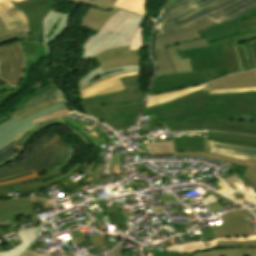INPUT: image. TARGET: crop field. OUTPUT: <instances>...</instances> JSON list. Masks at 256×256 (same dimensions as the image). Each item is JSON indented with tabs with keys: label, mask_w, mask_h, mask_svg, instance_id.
I'll use <instances>...</instances> for the list:
<instances>
[{
	"label": "crop field",
	"mask_w": 256,
	"mask_h": 256,
	"mask_svg": "<svg viewBox=\"0 0 256 256\" xmlns=\"http://www.w3.org/2000/svg\"><path fill=\"white\" fill-rule=\"evenodd\" d=\"M204 123V125H202ZM170 132L195 130H220L256 135V122L253 121H217L215 115H207L167 125Z\"/></svg>",
	"instance_id": "crop-field-9"
},
{
	"label": "crop field",
	"mask_w": 256,
	"mask_h": 256,
	"mask_svg": "<svg viewBox=\"0 0 256 256\" xmlns=\"http://www.w3.org/2000/svg\"><path fill=\"white\" fill-rule=\"evenodd\" d=\"M215 113L217 120L256 121V92L205 95L198 91L162 105L146 108L165 124Z\"/></svg>",
	"instance_id": "crop-field-1"
},
{
	"label": "crop field",
	"mask_w": 256,
	"mask_h": 256,
	"mask_svg": "<svg viewBox=\"0 0 256 256\" xmlns=\"http://www.w3.org/2000/svg\"><path fill=\"white\" fill-rule=\"evenodd\" d=\"M51 88H53V87H52L51 85H49V86H47V87H45V88H43V89L37 91L36 93H34V94H32V95H30V96L24 98V99L21 100L18 104H16L14 107H12L5 115H3V118L6 117L9 113H11L13 110H15V109H16L18 106H20L22 103H24V102L30 100L31 98H33V97H35V96H37V95H39V94H41V93H43V92H45V91L51 89Z\"/></svg>",
	"instance_id": "crop-field-45"
},
{
	"label": "crop field",
	"mask_w": 256,
	"mask_h": 256,
	"mask_svg": "<svg viewBox=\"0 0 256 256\" xmlns=\"http://www.w3.org/2000/svg\"><path fill=\"white\" fill-rule=\"evenodd\" d=\"M239 23L243 25L235 28L239 35L209 44L214 45L221 43L225 54L228 74L239 72L237 58L232 46L242 42H245L246 45L256 43V17L241 21Z\"/></svg>",
	"instance_id": "crop-field-10"
},
{
	"label": "crop field",
	"mask_w": 256,
	"mask_h": 256,
	"mask_svg": "<svg viewBox=\"0 0 256 256\" xmlns=\"http://www.w3.org/2000/svg\"><path fill=\"white\" fill-rule=\"evenodd\" d=\"M104 69L113 68L117 66L123 65H136L140 64L139 56L133 57H122V58H114L110 60H106L104 62L99 63Z\"/></svg>",
	"instance_id": "crop-field-35"
},
{
	"label": "crop field",
	"mask_w": 256,
	"mask_h": 256,
	"mask_svg": "<svg viewBox=\"0 0 256 256\" xmlns=\"http://www.w3.org/2000/svg\"><path fill=\"white\" fill-rule=\"evenodd\" d=\"M33 209L34 205L28 198L0 200V226L8 224L9 230L19 227L15 216L33 213Z\"/></svg>",
	"instance_id": "crop-field-15"
},
{
	"label": "crop field",
	"mask_w": 256,
	"mask_h": 256,
	"mask_svg": "<svg viewBox=\"0 0 256 256\" xmlns=\"http://www.w3.org/2000/svg\"><path fill=\"white\" fill-rule=\"evenodd\" d=\"M68 144L57 134L46 139L34 155L22 163L0 169V179L18 175L30 170L36 174L47 171L59 164L65 156Z\"/></svg>",
	"instance_id": "crop-field-8"
},
{
	"label": "crop field",
	"mask_w": 256,
	"mask_h": 256,
	"mask_svg": "<svg viewBox=\"0 0 256 256\" xmlns=\"http://www.w3.org/2000/svg\"><path fill=\"white\" fill-rule=\"evenodd\" d=\"M33 177H37V175L34 173V174H32V175L25 176V177H21V178H19V179H17V180H14V181L5 182V183H0V184L12 183V182H16V181H21V180L33 178Z\"/></svg>",
	"instance_id": "crop-field-55"
},
{
	"label": "crop field",
	"mask_w": 256,
	"mask_h": 256,
	"mask_svg": "<svg viewBox=\"0 0 256 256\" xmlns=\"http://www.w3.org/2000/svg\"><path fill=\"white\" fill-rule=\"evenodd\" d=\"M175 155H200V156H209L224 162L232 163V164H237V165H242L245 167H253L256 168V160H239V159H234L230 157H225V156H220L216 154H210V153H199V152H174Z\"/></svg>",
	"instance_id": "crop-field-31"
},
{
	"label": "crop field",
	"mask_w": 256,
	"mask_h": 256,
	"mask_svg": "<svg viewBox=\"0 0 256 256\" xmlns=\"http://www.w3.org/2000/svg\"><path fill=\"white\" fill-rule=\"evenodd\" d=\"M31 173H33V171L28 172V173H25V174H22V175H19V176H16V177H13V178H10V179L0 180V182H4V181H9V180L17 179V178H19V177H21V176L28 175V174H31Z\"/></svg>",
	"instance_id": "crop-field-57"
},
{
	"label": "crop field",
	"mask_w": 256,
	"mask_h": 256,
	"mask_svg": "<svg viewBox=\"0 0 256 256\" xmlns=\"http://www.w3.org/2000/svg\"><path fill=\"white\" fill-rule=\"evenodd\" d=\"M200 9L197 7L193 2L190 0L179 4L178 6L174 7L170 11H168L164 17L160 20L158 26L173 22L175 20L181 19L195 11Z\"/></svg>",
	"instance_id": "crop-field-25"
},
{
	"label": "crop field",
	"mask_w": 256,
	"mask_h": 256,
	"mask_svg": "<svg viewBox=\"0 0 256 256\" xmlns=\"http://www.w3.org/2000/svg\"><path fill=\"white\" fill-rule=\"evenodd\" d=\"M193 1L197 6H199L200 8L209 5L217 0H191Z\"/></svg>",
	"instance_id": "crop-field-51"
},
{
	"label": "crop field",
	"mask_w": 256,
	"mask_h": 256,
	"mask_svg": "<svg viewBox=\"0 0 256 256\" xmlns=\"http://www.w3.org/2000/svg\"><path fill=\"white\" fill-rule=\"evenodd\" d=\"M19 39L30 41V35H29V33H26V34H21V35H15V36L2 38V39H0V44L10 42V41H14V40H19Z\"/></svg>",
	"instance_id": "crop-field-47"
},
{
	"label": "crop field",
	"mask_w": 256,
	"mask_h": 256,
	"mask_svg": "<svg viewBox=\"0 0 256 256\" xmlns=\"http://www.w3.org/2000/svg\"><path fill=\"white\" fill-rule=\"evenodd\" d=\"M66 256H74V255L71 253V254H67Z\"/></svg>",
	"instance_id": "crop-field-64"
},
{
	"label": "crop field",
	"mask_w": 256,
	"mask_h": 256,
	"mask_svg": "<svg viewBox=\"0 0 256 256\" xmlns=\"http://www.w3.org/2000/svg\"><path fill=\"white\" fill-rule=\"evenodd\" d=\"M143 18L120 9L109 18L96 36L91 35L82 47L83 53L79 59H91L96 54L114 47L130 46L136 30Z\"/></svg>",
	"instance_id": "crop-field-5"
},
{
	"label": "crop field",
	"mask_w": 256,
	"mask_h": 256,
	"mask_svg": "<svg viewBox=\"0 0 256 256\" xmlns=\"http://www.w3.org/2000/svg\"><path fill=\"white\" fill-rule=\"evenodd\" d=\"M78 4H73L71 10L65 13H58L52 11V13L46 18L45 26H46V34L45 41L46 45L50 43L53 39H55L59 34H61L64 30L67 29V22L71 12Z\"/></svg>",
	"instance_id": "crop-field-22"
},
{
	"label": "crop field",
	"mask_w": 256,
	"mask_h": 256,
	"mask_svg": "<svg viewBox=\"0 0 256 256\" xmlns=\"http://www.w3.org/2000/svg\"><path fill=\"white\" fill-rule=\"evenodd\" d=\"M62 1H67V2H69V0H62Z\"/></svg>",
	"instance_id": "crop-field-66"
},
{
	"label": "crop field",
	"mask_w": 256,
	"mask_h": 256,
	"mask_svg": "<svg viewBox=\"0 0 256 256\" xmlns=\"http://www.w3.org/2000/svg\"><path fill=\"white\" fill-rule=\"evenodd\" d=\"M207 152L230 156L239 159H256V148L207 141Z\"/></svg>",
	"instance_id": "crop-field-20"
},
{
	"label": "crop field",
	"mask_w": 256,
	"mask_h": 256,
	"mask_svg": "<svg viewBox=\"0 0 256 256\" xmlns=\"http://www.w3.org/2000/svg\"><path fill=\"white\" fill-rule=\"evenodd\" d=\"M29 32V24L22 13L8 0H0V38Z\"/></svg>",
	"instance_id": "crop-field-12"
},
{
	"label": "crop field",
	"mask_w": 256,
	"mask_h": 256,
	"mask_svg": "<svg viewBox=\"0 0 256 256\" xmlns=\"http://www.w3.org/2000/svg\"><path fill=\"white\" fill-rule=\"evenodd\" d=\"M39 230L40 226L16 231L22 243L8 251L0 252V256H20L38 238L36 234Z\"/></svg>",
	"instance_id": "crop-field-24"
},
{
	"label": "crop field",
	"mask_w": 256,
	"mask_h": 256,
	"mask_svg": "<svg viewBox=\"0 0 256 256\" xmlns=\"http://www.w3.org/2000/svg\"><path fill=\"white\" fill-rule=\"evenodd\" d=\"M200 200H201L202 203L204 204L203 206H205V205H207V204H209V203H212V202L217 201V200L215 199V197H214L212 194H210V195H208V196H206V197H204V198H202V199H200Z\"/></svg>",
	"instance_id": "crop-field-53"
},
{
	"label": "crop field",
	"mask_w": 256,
	"mask_h": 256,
	"mask_svg": "<svg viewBox=\"0 0 256 256\" xmlns=\"http://www.w3.org/2000/svg\"><path fill=\"white\" fill-rule=\"evenodd\" d=\"M142 31L143 29L139 28L131 42L130 49H141L143 45V38H142Z\"/></svg>",
	"instance_id": "crop-field-44"
},
{
	"label": "crop field",
	"mask_w": 256,
	"mask_h": 256,
	"mask_svg": "<svg viewBox=\"0 0 256 256\" xmlns=\"http://www.w3.org/2000/svg\"><path fill=\"white\" fill-rule=\"evenodd\" d=\"M245 87H256V70L242 72L224 77L211 83L206 90L235 89Z\"/></svg>",
	"instance_id": "crop-field-18"
},
{
	"label": "crop field",
	"mask_w": 256,
	"mask_h": 256,
	"mask_svg": "<svg viewBox=\"0 0 256 256\" xmlns=\"http://www.w3.org/2000/svg\"><path fill=\"white\" fill-rule=\"evenodd\" d=\"M207 135L256 141V137L255 136L240 135V134L207 132Z\"/></svg>",
	"instance_id": "crop-field-40"
},
{
	"label": "crop field",
	"mask_w": 256,
	"mask_h": 256,
	"mask_svg": "<svg viewBox=\"0 0 256 256\" xmlns=\"http://www.w3.org/2000/svg\"><path fill=\"white\" fill-rule=\"evenodd\" d=\"M174 151L205 152V138H174Z\"/></svg>",
	"instance_id": "crop-field-28"
},
{
	"label": "crop field",
	"mask_w": 256,
	"mask_h": 256,
	"mask_svg": "<svg viewBox=\"0 0 256 256\" xmlns=\"http://www.w3.org/2000/svg\"><path fill=\"white\" fill-rule=\"evenodd\" d=\"M145 2L146 0H117L114 6L145 15Z\"/></svg>",
	"instance_id": "crop-field-34"
},
{
	"label": "crop field",
	"mask_w": 256,
	"mask_h": 256,
	"mask_svg": "<svg viewBox=\"0 0 256 256\" xmlns=\"http://www.w3.org/2000/svg\"><path fill=\"white\" fill-rule=\"evenodd\" d=\"M178 1H180V0H170V1L168 2V4L166 5V7L169 6V5H171V4L176 3V2H178ZM166 7H165V8H166Z\"/></svg>",
	"instance_id": "crop-field-60"
},
{
	"label": "crop field",
	"mask_w": 256,
	"mask_h": 256,
	"mask_svg": "<svg viewBox=\"0 0 256 256\" xmlns=\"http://www.w3.org/2000/svg\"><path fill=\"white\" fill-rule=\"evenodd\" d=\"M233 48L238 58L240 72L251 69L245 44H238Z\"/></svg>",
	"instance_id": "crop-field-36"
},
{
	"label": "crop field",
	"mask_w": 256,
	"mask_h": 256,
	"mask_svg": "<svg viewBox=\"0 0 256 256\" xmlns=\"http://www.w3.org/2000/svg\"><path fill=\"white\" fill-rule=\"evenodd\" d=\"M8 119H10V117H8V116H7L5 119H3V118L0 117V123L6 121V120H8Z\"/></svg>",
	"instance_id": "crop-field-61"
},
{
	"label": "crop field",
	"mask_w": 256,
	"mask_h": 256,
	"mask_svg": "<svg viewBox=\"0 0 256 256\" xmlns=\"http://www.w3.org/2000/svg\"><path fill=\"white\" fill-rule=\"evenodd\" d=\"M21 256H51V255H50V253H48V254H39L38 252H32V251L27 249Z\"/></svg>",
	"instance_id": "crop-field-54"
},
{
	"label": "crop field",
	"mask_w": 256,
	"mask_h": 256,
	"mask_svg": "<svg viewBox=\"0 0 256 256\" xmlns=\"http://www.w3.org/2000/svg\"><path fill=\"white\" fill-rule=\"evenodd\" d=\"M121 245V244H120ZM112 256H123L122 254V246H118L113 252Z\"/></svg>",
	"instance_id": "crop-field-56"
},
{
	"label": "crop field",
	"mask_w": 256,
	"mask_h": 256,
	"mask_svg": "<svg viewBox=\"0 0 256 256\" xmlns=\"http://www.w3.org/2000/svg\"><path fill=\"white\" fill-rule=\"evenodd\" d=\"M206 139L216 141V142L220 141V142H224V143L256 147V142H251V141H243V140H235V139H227V138H219V137H210V136H207Z\"/></svg>",
	"instance_id": "crop-field-38"
},
{
	"label": "crop field",
	"mask_w": 256,
	"mask_h": 256,
	"mask_svg": "<svg viewBox=\"0 0 256 256\" xmlns=\"http://www.w3.org/2000/svg\"><path fill=\"white\" fill-rule=\"evenodd\" d=\"M72 111H73V110H72L70 107H68V108H66V109H64V110H60V111H58V112H56V113H53V114H51V115H48V116H46V117H43V118L34 120V122H38V123L46 122V121H49V120H51V119L57 118V117H59V116H62V115H64V114L70 113V112H72Z\"/></svg>",
	"instance_id": "crop-field-42"
},
{
	"label": "crop field",
	"mask_w": 256,
	"mask_h": 256,
	"mask_svg": "<svg viewBox=\"0 0 256 256\" xmlns=\"http://www.w3.org/2000/svg\"><path fill=\"white\" fill-rule=\"evenodd\" d=\"M10 89L11 88L8 85H6L5 83L0 85V90H10Z\"/></svg>",
	"instance_id": "crop-field-59"
},
{
	"label": "crop field",
	"mask_w": 256,
	"mask_h": 256,
	"mask_svg": "<svg viewBox=\"0 0 256 256\" xmlns=\"http://www.w3.org/2000/svg\"><path fill=\"white\" fill-rule=\"evenodd\" d=\"M252 216L247 210L228 212L220 218L224 223L199 229L203 242L212 250L182 256H256V234L245 219ZM200 240V239H199ZM178 252H152L153 256H176Z\"/></svg>",
	"instance_id": "crop-field-2"
},
{
	"label": "crop field",
	"mask_w": 256,
	"mask_h": 256,
	"mask_svg": "<svg viewBox=\"0 0 256 256\" xmlns=\"http://www.w3.org/2000/svg\"><path fill=\"white\" fill-rule=\"evenodd\" d=\"M53 2V0H25L19 3H16L15 6H17L19 9H27L39 5H44Z\"/></svg>",
	"instance_id": "crop-field-39"
},
{
	"label": "crop field",
	"mask_w": 256,
	"mask_h": 256,
	"mask_svg": "<svg viewBox=\"0 0 256 256\" xmlns=\"http://www.w3.org/2000/svg\"><path fill=\"white\" fill-rule=\"evenodd\" d=\"M98 236H100V235L98 234V235L90 238L87 235L84 236V237L82 235H80V236H78L77 238H75L73 240H74L75 244L77 245V244H80V242H82V241L90 239L91 242L94 244V246L97 247V246H100V245L104 244Z\"/></svg>",
	"instance_id": "crop-field-43"
},
{
	"label": "crop field",
	"mask_w": 256,
	"mask_h": 256,
	"mask_svg": "<svg viewBox=\"0 0 256 256\" xmlns=\"http://www.w3.org/2000/svg\"><path fill=\"white\" fill-rule=\"evenodd\" d=\"M151 152V149H155V152H151V155H173V142L151 143L146 147Z\"/></svg>",
	"instance_id": "crop-field-37"
},
{
	"label": "crop field",
	"mask_w": 256,
	"mask_h": 256,
	"mask_svg": "<svg viewBox=\"0 0 256 256\" xmlns=\"http://www.w3.org/2000/svg\"><path fill=\"white\" fill-rule=\"evenodd\" d=\"M121 81L126 90L82 99L92 117L105 122L114 131L134 125L144 98L139 86L140 75L124 77Z\"/></svg>",
	"instance_id": "crop-field-3"
},
{
	"label": "crop field",
	"mask_w": 256,
	"mask_h": 256,
	"mask_svg": "<svg viewBox=\"0 0 256 256\" xmlns=\"http://www.w3.org/2000/svg\"><path fill=\"white\" fill-rule=\"evenodd\" d=\"M243 91H256V88L236 89V90H220V91H209L210 94L216 93H228V92H243Z\"/></svg>",
	"instance_id": "crop-field-50"
},
{
	"label": "crop field",
	"mask_w": 256,
	"mask_h": 256,
	"mask_svg": "<svg viewBox=\"0 0 256 256\" xmlns=\"http://www.w3.org/2000/svg\"><path fill=\"white\" fill-rule=\"evenodd\" d=\"M132 71H140V65L124 66V67H118V68L108 69V70H104L99 65L87 76H85L81 81L78 82V87L79 89H81L101 79H104L113 75H117V74L132 72Z\"/></svg>",
	"instance_id": "crop-field-23"
},
{
	"label": "crop field",
	"mask_w": 256,
	"mask_h": 256,
	"mask_svg": "<svg viewBox=\"0 0 256 256\" xmlns=\"http://www.w3.org/2000/svg\"><path fill=\"white\" fill-rule=\"evenodd\" d=\"M66 107H68V105L65 102H63L52 107L46 108L44 110H41L22 121L10 119L0 124V148L9 143L22 132L38 125L37 123H33L30 121L51 114L60 109H64Z\"/></svg>",
	"instance_id": "crop-field-13"
},
{
	"label": "crop field",
	"mask_w": 256,
	"mask_h": 256,
	"mask_svg": "<svg viewBox=\"0 0 256 256\" xmlns=\"http://www.w3.org/2000/svg\"><path fill=\"white\" fill-rule=\"evenodd\" d=\"M240 26V24L237 22L235 24H231L229 26L223 27L221 29H218L216 25H213L209 28H206L200 32L201 37H203L208 43L217 41L223 38H227L233 35H237L233 27Z\"/></svg>",
	"instance_id": "crop-field-26"
},
{
	"label": "crop field",
	"mask_w": 256,
	"mask_h": 256,
	"mask_svg": "<svg viewBox=\"0 0 256 256\" xmlns=\"http://www.w3.org/2000/svg\"><path fill=\"white\" fill-rule=\"evenodd\" d=\"M23 71V52L18 43L0 47V79L12 88Z\"/></svg>",
	"instance_id": "crop-field-11"
},
{
	"label": "crop field",
	"mask_w": 256,
	"mask_h": 256,
	"mask_svg": "<svg viewBox=\"0 0 256 256\" xmlns=\"http://www.w3.org/2000/svg\"><path fill=\"white\" fill-rule=\"evenodd\" d=\"M25 52V71L24 76L16 88L8 93L0 94V106L3 100L16 94L26 82L35 63H39L42 58H48L46 48L43 45L30 42H19Z\"/></svg>",
	"instance_id": "crop-field-16"
},
{
	"label": "crop field",
	"mask_w": 256,
	"mask_h": 256,
	"mask_svg": "<svg viewBox=\"0 0 256 256\" xmlns=\"http://www.w3.org/2000/svg\"><path fill=\"white\" fill-rule=\"evenodd\" d=\"M208 85L199 86V87L190 88V89H185V90H180V91H176V92H171V93H167V94H164V95L151 96L148 100V103H147L146 107L157 105L159 103L162 104L166 101L177 99V98L182 97L186 94L198 91L200 89L207 88Z\"/></svg>",
	"instance_id": "crop-field-29"
},
{
	"label": "crop field",
	"mask_w": 256,
	"mask_h": 256,
	"mask_svg": "<svg viewBox=\"0 0 256 256\" xmlns=\"http://www.w3.org/2000/svg\"><path fill=\"white\" fill-rule=\"evenodd\" d=\"M129 48L130 47H120V48L110 49L108 51H105L96 55L92 59H96L97 62H101L103 60L113 58V57L138 55L139 50H129ZM130 51H132V53H130Z\"/></svg>",
	"instance_id": "crop-field-33"
},
{
	"label": "crop field",
	"mask_w": 256,
	"mask_h": 256,
	"mask_svg": "<svg viewBox=\"0 0 256 256\" xmlns=\"http://www.w3.org/2000/svg\"><path fill=\"white\" fill-rule=\"evenodd\" d=\"M2 235H6L5 232L3 231V229L0 228V236Z\"/></svg>",
	"instance_id": "crop-field-62"
},
{
	"label": "crop field",
	"mask_w": 256,
	"mask_h": 256,
	"mask_svg": "<svg viewBox=\"0 0 256 256\" xmlns=\"http://www.w3.org/2000/svg\"><path fill=\"white\" fill-rule=\"evenodd\" d=\"M62 101L63 99L60 93L55 88H53L21 105L11 114H9V116L14 119L22 120L41 109L52 106Z\"/></svg>",
	"instance_id": "crop-field-17"
},
{
	"label": "crop field",
	"mask_w": 256,
	"mask_h": 256,
	"mask_svg": "<svg viewBox=\"0 0 256 256\" xmlns=\"http://www.w3.org/2000/svg\"><path fill=\"white\" fill-rule=\"evenodd\" d=\"M31 130L20 135L17 139L10 142L7 146L0 150V166L15 160L17 156L25 150L24 145L18 143L24 136H26Z\"/></svg>",
	"instance_id": "crop-field-27"
},
{
	"label": "crop field",
	"mask_w": 256,
	"mask_h": 256,
	"mask_svg": "<svg viewBox=\"0 0 256 256\" xmlns=\"http://www.w3.org/2000/svg\"><path fill=\"white\" fill-rule=\"evenodd\" d=\"M248 16L250 18L256 16V7L251 9L250 11H248V12H246V13H244V14H242V15H240V16H238V17H236V18H234V19H232L230 21H228V22L218 24L217 26H218V28H221L223 26L229 25V24L234 23L236 21H240V20H242V19H244V18H246Z\"/></svg>",
	"instance_id": "crop-field-41"
},
{
	"label": "crop field",
	"mask_w": 256,
	"mask_h": 256,
	"mask_svg": "<svg viewBox=\"0 0 256 256\" xmlns=\"http://www.w3.org/2000/svg\"><path fill=\"white\" fill-rule=\"evenodd\" d=\"M140 72H132L128 74H122L113 76L104 80H101L97 83H94L82 90H80V95L82 98L92 97V96H98L118 90H123V84L119 80L120 77L124 76H130V75H136Z\"/></svg>",
	"instance_id": "crop-field-19"
},
{
	"label": "crop field",
	"mask_w": 256,
	"mask_h": 256,
	"mask_svg": "<svg viewBox=\"0 0 256 256\" xmlns=\"http://www.w3.org/2000/svg\"><path fill=\"white\" fill-rule=\"evenodd\" d=\"M206 207V206H205ZM207 208L208 209H206L207 211H206V213L208 212V211H211V212H217V211H221V210H223L224 209V207L221 205V203L218 201V202H216V203H213V204H209V205H207Z\"/></svg>",
	"instance_id": "crop-field-49"
},
{
	"label": "crop field",
	"mask_w": 256,
	"mask_h": 256,
	"mask_svg": "<svg viewBox=\"0 0 256 256\" xmlns=\"http://www.w3.org/2000/svg\"><path fill=\"white\" fill-rule=\"evenodd\" d=\"M243 176L247 178L252 184L256 185V169L246 168Z\"/></svg>",
	"instance_id": "crop-field-48"
},
{
	"label": "crop field",
	"mask_w": 256,
	"mask_h": 256,
	"mask_svg": "<svg viewBox=\"0 0 256 256\" xmlns=\"http://www.w3.org/2000/svg\"><path fill=\"white\" fill-rule=\"evenodd\" d=\"M205 94H209L208 91H206Z\"/></svg>",
	"instance_id": "crop-field-65"
},
{
	"label": "crop field",
	"mask_w": 256,
	"mask_h": 256,
	"mask_svg": "<svg viewBox=\"0 0 256 256\" xmlns=\"http://www.w3.org/2000/svg\"><path fill=\"white\" fill-rule=\"evenodd\" d=\"M95 202H96L97 205L103 210V212L107 215L110 225H114L113 219H112V217L108 214V212L106 211V208H105L104 204L102 203V201H95Z\"/></svg>",
	"instance_id": "crop-field-52"
},
{
	"label": "crop field",
	"mask_w": 256,
	"mask_h": 256,
	"mask_svg": "<svg viewBox=\"0 0 256 256\" xmlns=\"http://www.w3.org/2000/svg\"><path fill=\"white\" fill-rule=\"evenodd\" d=\"M167 50H168V52L171 56V59L174 63L176 73L191 71L189 58L181 59L179 52L175 45L167 48Z\"/></svg>",
	"instance_id": "crop-field-32"
},
{
	"label": "crop field",
	"mask_w": 256,
	"mask_h": 256,
	"mask_svg": "<svg viewBox=\"0 0 256 256\" xmlns=\"http://www.w3.org/2000/svg\"><path fill=\"white\" fill-rule=\"evenodd\" d=\"M179 52L182 58L190 57L193 72L157 76L150 95L205 84L227 74L220 44Z\"/></svg>",
	"instance_id": "crop-field-4"
},
{
	"label": "crop field",
	"mask_w": 256,
	"mask_h": 256,
	"mask_svg": "<svg viewBox=\"0 0 256 256\" xmlns=\"http://www.w3.org/2000/svg\"><path fill=\"white\" fill-rule=\"evenodd\" d=\"M43 182H42V180H40L39 177H37V178H33V179H29V180H25V181L13 183V184L0 185V197L6 196L5 187H9V186L20 185L22 193L33 191V190H38V189L48 188V185H46Z\"/></svg>",
	"instance_id": "crop-field-30"
},
{
	"label": "crop field",
	"mask_w": 256,
	"mask_h": 256,
	"mask_svg": "<svg viewBox=\"0 0 256 256\" xmlns=\"http://www.w3.org/2000/svg\"><path fill=\"white\" fill-rule=\"evenodd\" d=\"M211 25L213 23L208 19L178 33L163 37H154L153 55L157 65V74L175 73L173 63L165 47L175 44L179 50H182L209 46L196 32Z\"/></svg>",
	"instance_id": "crop-field-7"
},
{
	"label": "crop field",
	"mask_w": 256,
	"mask_h": 256,
	"mask_svg": "<svg viewBox=\"0 0 256 256\" xmlns=\"http://www.w3.org/2000/svg\"><path fill=\"white\" fill-rule=\"evenodd\" d=\"M116 0H71L91 5L80 25L98 31L103 23L120 8L113 7ZM117 2V1H116Z\"/></svg>",
	"instance_id": "crop-field-14"
},
{
	"label": "crop field",
	"mask_w": 256,
	"mask_h": 256,
	"mask_svg": "<svg viewBox=\"0 0 256 256\" xmlns=\"http://www.w3.org/2000/svg\"><path fill=\"white\" fill-rule=\"evenodd\" d=\"M43 243H45V242H43ZM43 243H34V244H33L30 248H28V249L33 250V251H37L36 249L39 248L38 245L43 244Z\"/></svg>",
	"instance_id": "crop-field-58"
},
{
	"label": "crop field",
	"mask_w": 256,
	"mask_h": 256,
	"mask_svg": "<svg viewBox=\"0 0 256 256\" xmlns=\"http://www.w3.org/2000/svg\"><path fill=\"white\" fill-rule=\"evenodd\" d=\"M9 1L19 2V1H22V0H9Z\"/></svg>",
	"instance_id": "crop-field-63"
},
{
	"label": "crop field",
	"mask_w": 256,
	"mask_h": 256,
	"mask_svg": "<svg viewBox=\"0 0 256 256\" xmlns=\"http://www.w3.org/2000/svg\"><path fill=\"white\" fill-rule=\"evenodd\" d=\"M252 69L256 68V44L247 46Z\"/></svg>",
	"instance_id": "crop-field-46"
},
{
	"label": "crop field",
	"mask_w": 256,
	"mask_h": 256,
	"mask_svg": "<svg viewBox=\"0 0 256 256\" xmlns=\"http://www.w3.org/2000/svg\"><path fill=\"white\" fill-rule=\"evenodd\" d=\"M51 7L52 3L23 11L29 20L31 41L43 43V19Z\"/></svg>",
	"instance_id": "crop-field-21"
},
{
	"label": "crop field",
	"mask_w": 256,
	"mask_h": 256,
	"mask_svg": "<svg viewBox=\"0 0 256 256\" xmlns=\"http://www.w3.org/2000/svg\"><path fill=\"white\" fill-rule=\"evenodd\" d=\"M256 6V0H221L172 24L156 28V36L178 32L210 18L214 24L225 22Z\"/></svg>",
	"instance_id": "crop-field-6"
}]
</instances>
